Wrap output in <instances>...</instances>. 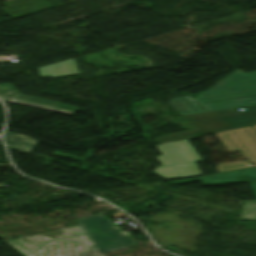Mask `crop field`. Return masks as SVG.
<instances>
[{
	"mask_svg": "<svg viewBox=\"0 0 256 256\" xmlns=\"http://www.w3.org/2000/svg\"><path fill=\"white\" fill-rule=\"evenodd\" d=\"M254 127H255V129H256V125H255ZM254 127H253V128H254Z\"/></svg>",
	"mask_w": 256,
	"mask_h": 256,
	"instance_id": "crop-field-12",
	"label": "crop field"
},
{
	"mask_svg": "<svg viewBox=\"0 0 256 256\" xmlns=\"http://www.w3.org/2000/svg\"><path fill=\"white\" fill-rule=\"evenodd\" d=\"M1 86V85H0ZM0 99L71 115L80 108L20 94L9 83L0 87Z\"/></svg>",
	"mask_w": 256,
	"mask_h": 256,
	"instance_id": "crop-field-5",
	"label": "crop field"
},
{
	"mask_svg": "<svg viewBox=\"0 0 256 256\" xmlns=\"http://www.w3.org/2000/svg\"><path fill=\"white\" fill-rule=\"evenodd\" d=\"M250 167H251L250 164L247 162H244V161L222 164V165L216 166L218 173L232 171V170H238V169H244V168H250Z\"/></svg>",
	"mask_w": 256,
	"mask_h": 256,
	"instance_id": "crop-field-9",
	"label": "crop field"
},
{
	"mask_svg": "<svg viewBox=\"0 0 256 256\" xmlns=\"http://www.w3.org/2000/svg\"><path fill=\"white\" fill-rule=\"evenodd\" d=\"M245 110L239 111L237 109ZM183 116L196 130L154 139L163 144L256 124V105Z\"/></svg>",
	"mask_w": 256,
	"mask_h": 256,
	"instance_id": "crop-field-3",
	"label": "crop field"
},
{
	"mask_svg": "<svg viewBox=\"0 0 256 256\" xmlns=\"http://www.w3.org/2000/svg\"><path fill=\"white\" fill-rule=\"evenodd\" d=\"M53 154H54V155H58V156H63V157L72 158V159L82 160V158L73 157V156H70V155H68V154L61 153V152H59V151H57V150H55Z\"/></svg>",
	"mask_w": 256,
	"mask_h": 256,
	"instance_id": "crop-field-10",
	"label": "crop field"
},
{
	"mask_svg": "<svg viewBox=\"0 0 256 256\" xmlns=\"http://www.w3.org/2000/svg\"><path fill=\"white\" fill-rule=\"evenodd\" d=\"M4 140L6 144H9L15 148H18L22 151H26L28 153L31 152L40 142L26 135L8 131H6L4 135Z\"/></svg>",
	"mask_w": 256,
	"mask_h": 256,
	"instance_id": "crop-field-7",
	"label": "crop field"
},
{
	"mask_svg": "<svg viewBox=\"0 0 256 256\" xmlns=\"http://www.w3.org/2000/svg\"><path fill=\"white\" fill-rule=\"evenodd\" d=\"M92 152H93V149H89L87 157L92 156ZM87 157H86V158H87Z\"/></svg>",
	"mask_w": 256,
	"mask_h": 256,
	"instance_id": "crop-field-11",
	"label": "crop field"
},
{
	"mask_svg": "<svg viewBox=\"0 0 256 256\" xmlns=\"http://www.w3.org/2000/svg\"><path fill=\"white\" fill-rule=\"evenodd\" d=\"M77 224L93 243L75 249L78 256H100L137 244L103 214L78 219ZM8 242L26 256H76L72 248L91 244L77 226ZM22 242H31L38 249L31 250Z\"/></svg>",
	"mask_w": 256,
	"mask_h": 256,
	"instance_id": "crop-field-1",
	"label": "crop field"
},
{
	"mask_svg": "<svg viewBox=\"0 0 256 256\" xmlns=\"http://www.w3.org/2000/svg\"><path fill=\"white\" fill-rule=\"evenodd\" d=\"M253 130L248 127L215 135L229 153L240 151L246 159L256 165V133Z\"/></svg>",
	"mask_w": 256,
	"mask_h": 256,
	"instance_id": "crop-field-4",
	"label": "crop field"
},
{
	"mask_svg": "<svg viewBox=\"0 0 256 256\" xmlns=\"http://www.w3.org/2000/svg\"><path fill=\"white\" fill-rule=\"evenodd\" d=\"M3 5L7 8L2 10L14 19L54 7L45 0H13Z\"/></svg>",
	"mask_w": 256,
	"mask_h": 256,
	"instance_id": "crop-field-6",
	"label": "crop field"
},
{
	"mask_svg": "<svg viewBox=\"0 0 256 256\" xmlns=\"http://www.w3.org/2000/svg\"><path fill=\"white\" fill-rule=\"evenodd\" d=\"M197 96L196 100L207 111L254 105L256 104V71L245 74L237 70L208 92ZM218 100L222 102H214ZM169 105L181 115L206 112L190 96L172 99Z\"/></svg>",
	"mask_w": 256,
	"mask_h": 256,
	"instance_id": "crop-field-2",
	"label": "crop field"
},
{
	"mask_svg": "<svg viewBox=\"0 0 256 256\" xmlns=\"http://www.w3.org/2000/svg\"><path fill=\"white\" fill-rule=\"evenodd\" d=\"M241 219H244V220L256 219V200L246 201L243 204Z\"/></svg>",
	"mask_w": 256,
	"mask_h": 256,
	"instance_id": "crop-field-8",
	"label": "crop field"
}]
</instances>
